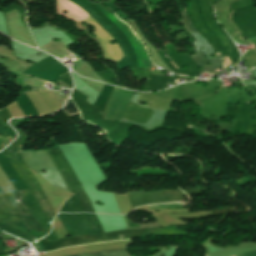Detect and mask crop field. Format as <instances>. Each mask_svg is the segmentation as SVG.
Segmentation results:
<instances>
[{"instance_id":"8a807250","label":"crop field","mask_w":256,"mask_h":256,"mask_svg":"<svg viewBox=\"0 0 256 256\" xmlns=\"http://www.w3.org/2000/svg\"><path fill=\"white\" fill-rule=\"evenodd\" d=\"M20 154L29 167L35 169L50 183L61 189L71 191L48 151H25L20 152ZM44 169L47 171L46 174L42 173Z\"/></svg>"},{"instance_id":"ac0d7876","label":"crop field","mask_w":256,"mask_h":256,"mask_svg":"<svg viewBox=\"0 0 256 256\" xmlns=\"http://www.w3.org/2000/svg\"><path fill=\"white\" fill-rule=\"evenodd\" d=\"M181 15L183 17V20H181V22L185 24L184 26L186 27L188 32H191L192 35L194 36V38L196 39V41L193 42V44L196 46L195 51L197 52V55H191V56L193 57V59L197 62V64L199 66L204 65L201 72H203V71L215 72V69L222 67L221 59L217 56V54L215 53V51L213 50L211 45L208 43V41H206L200 35V33L193 27L188 15H187L186 8L183 12H181ZM200 46H203L204 49L202 50L200 48ZM211 54H215L216 57L211 58L209 56ZM203 55H206L207 58H204ZM206 62H209L210 66H207Z\"/></svg>"},{"instance_id":"34b2d1b8","label":"crop field","mask_w":256,"mask_h":256,"mask_svg":"<svg viewBox=\"0 0 256 256\" xmlns=\"http://www.w3.org/2000/svg\"><path fill=\"white\" fill-rule=\"evenodd\" d=\"M94 4V3H93ZM99 9H101L108 18L127 36V38L130 40L131 44L136 50V53L139 57V60L142 64V67L144 69L150 68L154 66V64L151 62L147 50L144 48L143 44L138 40L135 35L133 34L132 30L128 27L127 24L123 23L122 21L118 20L117 17L110 13L108 10H106L102 5L95 4Z\"/></svg>"},{"instance_id":"412701ff","label":"crop field","mask_w":256,"mask_h":256,"mask_svg":"<svg viewBox=\"0 0 256 256\" xmlns=\"http://www.w3.org/2000/svg\"><path fill=\"white\" fill-rule=\"evenodd\" d=\"M132 208L146 204V203H157V202H170L183 200V196L180 191H162V192H151L144 193L143 191L138 192H127Z\"/></svg>"},{"instance_id":"f4fd0767","label":"crop field","mask_w":256,"mask_h":256,"mask_svg":"<svg viewBox=\"0 0 256 256\" xmlns=\"http://www.w3.org/2000/svg\"><path fill=\"white\" fill-rule=\"evenodd\" d=\"M70 256H128L125 249L121 250H112V251H103V252H97V253H87L84 254H74Z\"/></svg>"},{"instance_id":"dd49c442","label":"crop field","mask_w":256,"mask_h":256,"mask_svg":"<svg viewBox=\"0 0 256 256\" xmlns=\"http://www.w3.org/2000/svg\"><path fill=\"white\" fill-rule=\"evenodd\" d=\"M68 116L76 115L78 114V111L76 110L74 104L72 103L71 99L67 102V104L63 108Z\"/></svg>"},{"instance_id":"e52e79f7","label":"crop field","mask_w":256,"mask_h":256,"mask_svg":"<svg viewBox=\"0 0 256 256\" xmlns=\"http://www.w3.org/2000/svg\"><path fill=\"white\" fill-rule=\"evenodd\" d=\"M167 207H185L179 203H166V204H157L150 205L149 208H167Z\"/></svg>"},{"instance_id":"d8731c3e","label":"crop field","mask_w":256,"mask_h":256,"mask_svg":"<svg viewBox=\"0 0 256 256\" xmlns=\"http://www.w3.org/2000/svg\"><path fill=\"white\" fill-rule=\"evenodd\" d=\"M141 228H154L159 227L158 223H151V224H140Z\"/></svg>"},{"instance_id":"5a996713","label":"crop field","mask_w":256,"mask_h":256,"mask_svg":"<svg viewBox=\"0 0 256 256\" xmlns=\"http://www.w3.org/2000/svg\"><path fill=\"white\" fill-rule=\"evenodd\" d=\"M237 256H256V251L255 252H247V253H242Z\"/></svg>"},{"instance_id":"3316defc","label":"crop field","mask_w":256,"mask_h":256,"mask_svg":"<svg viewBox=\"0 0 256 256\" xmlns=\"http://www.w3.org/2000/svg\"><path fill=\"white\" fill-rule=\"evenodd\" d=\"M4 146V140L3 138L0 136V149H2Z\"/></svg>"},{"instance_id":"28ad6ade","label":"crop field","mask_w":256,"mask_h":256,"mask_svg":"<svg viewBox=\"0 0 256 256\" xmlns=\"http://www.w3.org/2000/svg\"><path fill=\"white\" fill-rule=\"evenodd\" d=\"M172 62V61H171ZM173 63V62H172ZM173 65L176 67V68H178L174 63H173Z\"/></svg>"},{"instance_id":"d1516ede","label":"crop field","mask_w":256,"mask_h":256,"mask_svg":"<svg viewBox=\"0 0 256 256\" xmlns=\"http://www.w3.org/2000/svg\"><path fill=\"white\" fill-rule=\"evenodd\" d=\"M65 50H66V48H65ZM67 51V50H66ZM67 53H68V51H67ZM69 54V53H68Z\"/></svg>"},{"instance_id":"22f410ed","label":"crop field","mask_w":256,"mask_h":256,"mask_svg":"<svg viewBox=\"0 0 256 256\" xmlns=\"http://www.w3.org/2000/svg\"><path fill=\"white\" fill-rule=\"evenodd\" d=\"M242 38V37H241ZM243 40V39H242Z\"/></svg>"}]
</instances>
